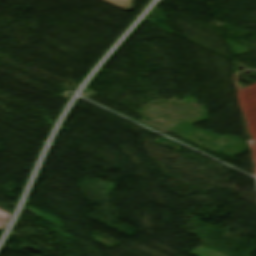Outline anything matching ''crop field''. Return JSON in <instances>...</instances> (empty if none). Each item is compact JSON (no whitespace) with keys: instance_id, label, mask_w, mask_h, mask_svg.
Returning a JSON list of instances; mask_svg holds the SVG:
<instances>
[{"instance_id":"crop-field-1","label":"crop field","mask_w":256,"mask_h":256,"mask_svg":"<svg viewBox=\"0 0 256 256\" xmlns=\"http://www.w3.org/2000/svg\"><path fill=\"white\" fill-rule=\"evenodd\" d=\"M110 5H113L117 8H120L124 11H132L133 8V0H102ZM125 3V4H122Z\"/></svg>"}]
</instances>
